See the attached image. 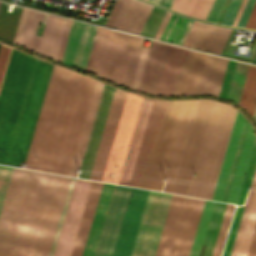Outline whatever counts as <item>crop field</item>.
<instances>
[{
	"label": "crop field",
	"mask_w": 256,
	"mask_h": 256,
	"mask_svg": "<svg viewBox=\"0 0 256 256\" xmlns=\"http://www.w3.org/2000/svg\"><path fill=\"white\" fill-rule=\"evenodd\" d=\"M142 99L141 97L129 93L127 94L106 170L104 169L105 173L102 181L113 182L114 179L107 178L108 172H113L118 173L115 183H119Z\"/></svg>",
	"instance_id": "obj_11"
},
{
	"label": "crop field",
	"mask_w": 256,
	"mask_h": 256,
	"mask_svg": "<svg viewBox=\"0 0 256 256\" xmlns=\"http://www.w3.org/2000/svg\"><path fill=\"white\" fill-rule=\"evenodd\" d=\"M245 2H246V0H243L242 5H241V7H240V9H239V12H238V14H237V16H236V18H235V21H234V23H233L232 26H235V25H236V23H237V21H238V18H239L240 14H241V11H242V9H243V7H244V5H245Z\"/></svg>",
	"instance_id": "obj_58"
},
{
	"label": "crop field",
	"mask_w": 256,
	"mask_h": 256,
	"mask_svg": "<svg viewBox=\"0 0 256 256\" xmlns=\"http://www.w3.org/2000/svg\"><path fill=\"white\" fill-rule=\"evenodd\" d=\"M114 88L104 85V89L101 95L99 106L96 112L92 130L89 136L87 147L84 153V159L81 162L82 168H85L83 175H80L81 178H89V174L92 168V164L95 158L97 147L100 141V137L103 131V127L106 121L108 110L111 104V100L114 94Z\"/></svg>",
	"instance_id": "obj_18"
},
{
	"label": "crop field",
	"mask_w": 256,
	"mask_h": 256,
	"mask_svg": "<svg viewBox=\"0 0 256 256\" xmlns=\"http://www.w3.org/2000/svg\"><path fill=\"white\" fill-rule=\"evenodd\" d=\"M153 101L154 100L152 99H146V98L143 99V103L141 106V110L139 113V117L137 120V124L135 127V131L133 134V138L130 144V148L128 151V155L126 158V162L124 165V169H123L119 184H124V185L129 184V182L127 183V181H130V177H131L133 167L136 161V157L139 151V147L143 138V134L146 128V124L149 118Z\"/></svg>",
	"instance_id": "obj_21"
},
{
	"label": "crop field",
	"mask_w": 256,
	"mask_h": 256,
	"mask_svg": "<svg viewBox=\"0 0 256 256\" xmlns=\"http://www.w3.org/2000/svg\"><path fill=\"white\" fill-rule=\"evenodd\" d=\"M225 205L226 204H223V203H217V202L214 203L211 218L209 221V225H208L206 236L203 243V244H206L203 256H211L215 239L220 226V222L222 219V215L225 209Z\"/></svg>",
	"instance_id": "obj_32"
},
{
	"label": "crop field",
	"mask_w": 256,
	"mask_h": 256,
	"mask_svg": "<svg viewBox=\"0 0 256 256\" xmlns=\"http://www.w3.org/2000/svg\"><path fill=\"white\" fill-rule=\"evenodd\" d=\"M248 126H249V124L247 123V121H245L244 128H243V131H242V134H241V138H240V141H239V144H238V147H237V151H236V154H235V157H234V161H233V164H232V167H231V170H230V174H229V177H228L226 187H225V190H224L223 197H222L221 201H224V202L227 201V197H228V194H229V191H230V187H231L232 180H233V177H234V174H235V170H236L237 163H238V160H239V157H240V153H241V150H242V147H243V143H244L245 136H246V133H247V130H248Z\"/></svg>",
	"instance_id": "obj_40"
},
{
	"label": "crop field",
	"mask_w": 256,
	"mask_h": 256,
	"mask_svg": "<svg viewBox=\"0 0 256 256\" xmlns=\"http://www.w3.org/2000/svg\"><path fill=\"white\" fill-rule=\"evenodd\" d=\"M213 1L214 0H206V2L204 4V7H203V9H202L198 18H201V19H204V20L206 19L208 11H209Z\"/></svg>",
	"instance_id": "obj_54"
},
{
	"label": "crop field",
	"mask_w": 256,
	"mask_h": 256,
	"mask_svg": "<svg viewBox=\"0 0 256 256\" xmlns=\"http://www.w3.org/2000/svg\"><path fill=\"white\" fill-rule=\"evenodd\" d=\"M15 168L0 216V256H33L56 180Z\"/></svg>",
	"instance_id": "obj_4"
},
{
	"label": "crop field",
	"mask_w": 256,
	"mask_h": 256,
	"mask_svg": "<svg viewBox=\"0 0 256 256\" xmlns=\"http://www.w3.org/2000/svg\"><path fill=\"white\" fill-rule=\"evenodd\" d=\"M213 203L214 202H212V201H208V200L205 201V205H204V208L202 211V215H201L198 229H197V232L195 235L193 246H192V249L190 252V256H198V254H199L201 244L203 241V237H204L206 227L208 224V220L210 217V213H211V210L213 207Z\"/></svg>",
	"instance_id": "obj_34"
},
{
	"label": "crop field",
	"mask_w": 256,
	"mask_h": 256,
	"mask_svg": "<svg viewBox=\"0 0 256 256\" xmlns=\"http://www.w3.org/2000/svg\"><path fill=\"white\" fill-rule=\"evenodd\" d=\"M171 2L172 0H163L161 5L169 8L171 5Z\"/></svg>",
	"instance_id": "obj_59"
},
{
	"label": "crop field",
	"mask_w": 256,
	"mask_h": 256,
	"mask_svg": "<svg viewBox=\"0 0 256 256\" xmlns=\"http://www.w3.org/2000/svg\"><path fill=\"white\" fill-rule=\"evenodd\" d=\"M71 21L72 20H70V19L67 20V24H66V27H65V31H64V34H63V38H62L61 45H60V48H59V52H58L57 59H56L59 62L61 61V57H62V54H63V50H64V46H65L66 39H67V36H68Z\"/></svg>",
	"instance_id": "obj_50"
},
{
	"label": "crop field",
	"mask_w": 256,
	"mask_h": 256,
	"mask_svg": "<svg viewBox=\"0 0 256 256\" xmlns=\"http://www.w3.org/2000/svg\"><path fill=\"white\" fill-rule=\"evenodd\" d=\"M148 192L131 189L112 256H130Z\"/></svg>",
	"instance_id": "obj_13"
},
{
	"label": "crop field",
	"mask_w": 256,
	"mask_h": 256,
	"mask_svg": "<svg viewBox=\"0 0 256 256\" xmlns=\"http://www.w3.org/2000/svg\"><path fill=\"white\" fill-rule=\"evenodd\" d=\"M143 39L144 38H142V37H138V36L135 37L132 52L130 55V59L128 62V66H127L125 77H124L123 84H122L123 86L129 87V88L131 87V83H132V79L134 76L137 61L139 58Z\"/></svg>",
	"instance_id": "obj_36"
},
{
	"label": "crop field",
	"mask_w": 256,
	"mask_h": 256,
	"mask_svg": "<svg viewBox=\"0 0 256 256\" xmlns=\"http://www.w3.org/2000/svg\"><path fill=\"white\" fill-rule=\"evenodd\" d=\"M1 3V2H0Z\"/></svg>",
	"instance_id": "obj_64"
},
{
	"label": "crop field",
	"mask_w": 256,
	"mask_h": 256,
	"mask_svg": "<svg viewBox=\"0 0 256 256\" xmlns=\"http://www.w3.org/2000/svg\"><path fill=\"white\" fill-rule=\"evenodd\" d=\"M194 21L172 15L161 39L183 44Z\"/></svg>",
	"instance_id": "obj_30"
},
{
	"label": "crop field",
	"mask_w": 256,
	"mask_h": 256,
	"mask_svg": "<svg viewBox=\"0 0 256 256\" xmlns=\"http://www.w3.org/2000/svg\"><path fill=\"white\" fill-rule=\"evenodd\" d=\"M234 208H235V206L232 205V206H231L230 213H229V216H228V220H227V223H226V227H225V230H224V234H223V237H222V240H221V241H224V240H225V236H226V233H227V230H228L230 221H231V217H232V213H233Z\"/></svg>",
	"instance_id": "obj_56"
},
{
	"label": "crop field",
	"mask_w": 256,
	"mask_h": 256,
	"mask_svg": "<svg viewBox=\"0 0 256 256\" xmlns=\"http://www.w3.org/2000/svg\"><path fill=\"white\" fill-rule=\"evenodd\" d=\"M134 37L101 27L89 71L121 85Z\"/></svg>",
	"instance_id": "obj_7"
},
{
	"label": "crop field",
	"mask_w": 256,
	"mask_h": 256,
	"mask_svg": "<svg viewBox=\"0 0 256 256\" xmlns=\"http://www.w3.org/2000/svg\"><path fill=\"white\" fill-rule=\"evenodd\" d=\"M150 1L155 2V3L158 4L160 0H150Z\"/></svg>",
	"instance_id": "obj_62"
},
{
	"label": "crop field",
	"mask_w": 256,
	"mask_h": 256,
	"mask_svg": "<svg viewBox=\"0 0 256 256\" xmlns=\"http://www.w3.org/2000/svg\"><path fill=\"white\" fill-rule=\"evenodd\" d=\"M101 182H92V186L89 192V196L86 202L84 213L81 219L79 230L76 236V240L73 246L71 256H81L83 248L86 242L88 231L91 225V221L94 215L96 204L99 198V194L102 188Z\"/></svg>",
	"instance_id": "obj_26"
},
{
	"label": "crop field",
	"mask_w": 256,
	"mask_h": 256,
	"mask_svg": "<svg viewBox=\"0 0 256 256\" xmlns=\"http://www.w3.org/2000/svg\"><path fill=\"white\" fill-rule=\"evenodd\" d=\"M11 48L0 45V86L10 57Z\"/></svg>",
	"instance_id": "obj_44"
},
{
	"label": "crop field",
	"mask_w": 256,
	"mask_h": 256,
	"mask_svg": "<svg viewBox=\"0 0 256 256\" xmlns=\"http://www.w3.org/2000/svg\"><path fill=\"white\" fill-rule=\"evenodd\" d=\"M223 243H224V242H221V244H220V247H219V251H218L217 256H220V253H221V250H222Z\"/></svg>",
	"instance_id": "obj_60"
},
{
	"label": "crop field",
	"mask_w": 256,
	"mask_h": 256,
	"mask_svg": "<svg viewBox=\"0 0 256 256\" xmlns=\"http://www.w3.org/2000/svg\"><path fill=\"white\" fill-rule=\"evenodd\" d=\"M255 166H256V142H255L254 149H253V152H252V156H251V159H250V163H249L246 178H245V181H244V185H243L242 193H241V196H240L239 204L237 203L238 206H243L244 199H245V194H246V190H247L246 185H247V182H251L252 176L254 174ZM242 210H243V207L236 208V212H235L233 222H232V225H231V228H230V232H229V235H228V238H227V242H226V245H225L223 256H229V254H230L232 244H233V241H234V237H235V234H236V230H237L239 220H240V217H241Z\"/></svg>",
	"instance_id": "obj_29"
},
{
	"label": "crop field",
	"mask_w": 256,
	"mask_h": 256,
	"mask_svg": "<svg viewBox=\"0 0 256 256\" xmlns=\"http://www.w3.org/2000/svg\"><path fill=\"white\" fill-rule=\"evenodd\" d=\"M238 105L253 117L256 106V66H249Z\"/></svg>",
	"instance_id": "obj_31"
},
{
	"label": "crop field",
	"mask_w": 256,
	"mask_h": 256,
	"mask_svg": "<svg viewBox=\"0 0 256 256\" xmlns=\"http://www.w3.org/2000/svg\"><path fill=\"white\" fill-rule=\"evenodd\" d=\"M96 28L73 20L61 62L85 70Z\"/></svg>",
	"instance_id": "obj_15"
},
{
	"label": "crop field",
	"mask_w": 256,
	"mask_h": 256,
	"mask_svg": "<svg viewBox=\"0 0 256 256\" xmlns=\"http://www.w3.org/2000/svg\"><path fill=\"white\" fill-rule=\"evenodd\" d=\"M254 141H255L254 134L251 127L249 126V130L246 136L244 147L241 153V157L239 160V164L236 170V174L233 180V184H232L227 202H231L235 204L237 203V199L240 193V189H241L244 175L247 169V165H248L251 151L254 145Z\"/></svg>",
	"instance_id": "obj_28"
},
{
	"label": "crop field",
	"mask_w": 256,
	"mask_h": 256,
	"mask_svg": "<svg viewBox=\"0 0 256 256\" xmlns=\"http://www.w3.org/2000/svg\"><path fill=\"white\" fill-rule=\"evenodd\" d=\"M230 206L231 205H229V204L226 205V209H225V212H224V215H223V219H222V222H221V226H220V229H219V233H218V236H217V239H216V243H215V246H214L212 256H216V254H217V250H218L219 243H220V240H221V236H222L224 226H225V223H226V220H227V216H228V213H229V210H230Z\"/></svg>",
	"instance_id": "obj_47"
},
{
	"label": "crop field",
	"mask_w": 256,
	"mask_h": 256,
	"mask_svg": "<svg viewBox=\"0 0 256 256\" xmlns=\"http://www.w3.org/2000/svg\"><path fill=\"white\" fill-rule=\"evenodd\" d=\"M74 179L75 178L71 179V183H70V186H69V189H68V193H67V196H66V199H65V203H64V206H63V209H62V213H61V216H60V219H59V223H58V226H57V229H56V233H55V236H54V239H53V243H52V246H51V249H50L49 256H52V254H53V250H54L55 243H56V240H57V237H58V233H59L60 226H61V223H62V220H63V216H64V213H65V210H66V206H67L68 199H69V196H70V193H71V189H72V186H73V183H74Z\"/></svg>",
	"instance_id": "obj_45"
},
{
	"label": "crop field",
	"mask_w": 256,
	"mask_h": 256,
	"mask_svg": "<svg viewBox=\"0 0 256 256\" xmlns=\"http://www.w3.org/2000/svg\"><path fill=\"white\" fill-rule=\"evenodd\" d=\"M44 17L45 13L23 8L13 43L36 53L41 37L35 33Z\"/></svg>",
	"instance_id": "obj_20"
},
{
	"label": "crop field",
	"mask_w": 256,
	"mask_h": 256,
	"mask_svg": "<svg viewBox=\"0 0 256 256\" xmlns=\"http://www.w3.org/2000/svg\"><path fill=\"white\" fill-rule=\"evenodd\" d=\"M52 66L12 50L0 90V164L26 160Z\"/></svg>",
	"instance_id": "obj_2"
},
{
	"label": "crop field",
	"mask_w": 256,
	"mask_h": 256,
	"mask_svg": "<svg viewBox=\"0 0 256 256\" xmlns=\"http://www.w3.org/2000/svg\"><path fill=\"white\" fill-rule=\"evenodd\" d=\"M255 224H256V191L253 197L251 208L248 214V218L245 224V228L243 231V235H242L236 256H246Z\"/></svg>",
	"instance_id": "obj_33"
},
{
	"label": "crop field",
	"mask_w": 256,
	"mask_h": 256,
	"mask_svg": "<svg viewBox=\"0 0 256 256\" xmlns=\"http://www.w3.org/2000/svg\"><path fill=\"white\" fill-rule=\"evenodd\" d=\"M171 196L149 192L131 256H154Z\"/></svg>",
	"instance_id": "obj_10"
},
{
	"label": "crop field",
	"mask_w": 256,
	"mask_h": 256,
	"mask_svg": "<svg viewBox=\"0 0 256 256\" xmlns=\"http://www.w3.org/2000/svg\"><path fill=\"white\" fill-rule=\"evenodd\" d=\"M204 1L205 0H173L170 8L197 18Z\"/></svg>",
	"instance_id": "obj_37"
},
{
	"label": "crop field",
	"mask_w": 256,
	"mask_h": 256,
	"mask_svg": "<svg viewBox=\"0 0 256 256\" xmlns=\"http://www.w3.org/2000/svg\"><path fill=\"white\" fill-rule=\"evenodd\" d=\"M173 101H154L144 140L129 185L148 187Z\"/></svg>",
	"instance_id": "obj_9"
},
{
	"label": "crop field",
	"mask_w": 256,
	"mask_h": 256,
	"mask_svg": "<svg viewBox=\"0 0 256 256\" xmlns=\"http://www.w3.org/2000/svg\"><path fill=\"white\" fill-rule=\"evenodd\" d=\"M198 100H188V101H174L173 102V106L170 112V116L168 119V123L165 129V133L162 139V143L160 146V150L157 156V160L155 163V167L152 173V177L149 183V187L153 189L154 188V184L157 178V174L159 171V167L161 164V160L164 154V150L166 147V143L168 140V136L171 130V126L173 123V119L175 116V112L178 106V102H179V106L177 109V113L175 116V120L172 126V130L170 133V137L168 140V144L166 147V151L164 154V158L162 161V165L159 171V175L157 178V182L155 185V189L154 190H158L161 191L162 189V185L163 183H161L162 177H167V178H171L169 184H165L164 190L166 192H170L171 188H172V184L175 178V174L178 168V164L181 158V154L184 148V144L187 138V134L190 128V124L193 118V114L196 108V104H197ZM150 189V190H151Z\"/></svg>",
	"instance_id": "obj_6"
},
{
	"label": "crop field",
	"mask_w": 256,
	"mask_h": 256,
	"mask_svg": "<svg viewBox=\"0 0 256 256\" xmlns=\"http://www.w3.org/2000/svg\"><path fill=\"white\" fill-rule=\"evenodd\" d=\"M152 7L147 3L132 0L119 29L139 34Z\"/></svg>",
	"instance_id": "obj_27"
},
{
	"label": "crop field",
	"mask_w": 256,
	"mask_h": 256,
	"mask_svg": "<svg viewBox=\"0 0 256 256\" xmlns=\"http://www.w3.org/2000/svg\"><path fill=\"white\" fill-rule=\"evenodd\" d=\"M130 1L131 0H125V2H124V4H123V6H122V8H121V10H120V12H119V14H118V16H117V18H116L112 27H115V28L118 27V25H119L124 13H125L127 7H128V5H129Z\"/></svg>",
	"instance_id": "obj_52"
},
{
	"label": "crop field",
	"mask_w": 256,
	"mask_h": 256,
	"mask_svg": "<svg viewBox=\"0 0 256 256\" xmlns=\"http://www.w3.org/2000/svg\"><path fill=\"white\" fill-rule=\"evenodd\" d=\"M253 119L255 120V122H256V110H255V113H254V117H253Z\"/></svg>",
	"instance_id": "obj_63"
},
{
	"label": "crop field",
	"mask_w": 256,
	"mask_h": 256,
	"mask_svg": "<svg viewBox=\"0 0 256 256\" xmlns=\"http://www.w3.org/2000/svg\"><path fill=\"white\" fill-rule=\"evenodd\" d=\"M130 189L114 186L95 256H111Z\"/></svg>",
	"instance_id": "obj_14"
},
{
	"label": "crop field",
	"mask_w": 256,
	"mask_h": 256,
	"mask_svg": "<svg viewBox=\"0 0 256 256\" xmlns=\"http://www.w3.org/2000/svg\"><path fill=\"white\" fill-rule=\"evenodd\" d=\"M236 112L225 104L198 101L171 192L211 198Z\"/></svg>",
	"instance_id": "obj_3"
},
{
	"label": "crop field",
	"mask_w": 256,
	"mask_h": 256,
	"mask_svg": "<svg viewBox=\"0 0 256 256\" xmlns=\"http://www.w3.org/2000/svg\"><path fill=\"white\" fill-rule=\"evenodd\" d=\"M123 2H124V0H117L116 1V3L114 5V7H113V9H112L108 19H107V21L105 23V25L110 26V27L112 26V24H113V22H114V20H115V18L117 16L120 8H121Z\"/></svg>",
	"instance_id": "obj_49"
},
{
	"label": "crop field",
	"mask_w": 256,
	"mask_h": 256,
	"mask_svg": "<svg viewBox=\"0 0 256 256\" xmlns=\"http://www.w3.org/2000/svg\"><path fill=\"white\" fill-rule=\"evenodd\" d=\"M70 179L69 177L57 176L35 256H48Z\"/></svg>",
	"instance_id": "obj_17"
},
{
	"label": "crop field",
	"mask_w": 256,
	"mask_h": 256,
	"mask_svg": "<svg viewBox=\"0 0 256 256\" xmlns=\"http://www.w3.org/2000/svg\"><path fill=\"white\" fill-rule=\"evenodd\" d=\"M224 3H225V0H215L206 20L216 22Z\"/></svg>",
	"instance_id": "obj_46"
},
{
	"label": "crop field",
	"mask_w": 256,
	"mask_h": 256,
	"mask_svg": "<svg viewBox=\"0 0 256 256\" xmlns=\"http://www.w3.org/2000/svg\"><path fill=\"white\" fill-rule=\"evenodd\" d=\"M230 30L195 21L184 45L219 54Z\"/></svg>",
	"instance_id": "obj_19"
},
{
	"label": "crop field",
	"mask_w": 256,
	"mask_h": 256,
	"mask_svg": "<svg viewBox=\"0 0 256 256\" xmlns=\"http://www.w3.org/2000/svg\"><path fill=\"white\" fill-rule=\"evenodd\" d=\"M103 85H104L103 83H101L97 80L95 81L93 92H92V95H91V98H90V102H89V105H88V109H87V112H86V116H85V119H84V122H83V126H82V129H81V133H80V136H79V140H78V143H77V146H76V150H75V153H74V157H73L72 164H71L68 175L76 176L75 174H73L74 166L79 167L81 157H83V153H84L86 143H87V140H88V136H89V133H90V130H91V126H92V123H93L95 112H96L98 102H99V99H100V95H101V92H102V89H103Z\"/></svg>",
	"instance_id": "obj_24"
},
{
	"label": "crop field",
	"mask_w": 256,
	"mask_h": 256,
	"mask_svg": "<svg viewBox=\"0 0 256 256\" xmlns=\"http://www.w3.org/2000/svg\"><path fill=\"white\" fill-rule=\"evenodd\" d=\"M247 256H256V227L250 244Z\"/></svg>",
	"instance_id": "obj_55"
},
{
	"label": "crop field",
	"mask_w": 256,
	"mask_h": 256,
	"mask_svg": "<svg viewBox=\"0 0 256 256\" xmlns=\"http://www.w3.org/2000/svg\"><path fill=\"white\" fill-rule=\"evenodd\" d=\"M227 59L190 50L177 96H219Z\"/></svg>",
	"instance_id": "obj_8"
},
{
	"label": "crop field",
	"mask_w": 256,
	"mask_h": 256,
	"mask_svg": "<svg viewBox=\"0 0 256 256\" xmlns=\"http://www.w3.org/2000/svg\"><path fill=\"white\" fill-rule=\"evenodd\" d=\"M252 184H254V186H253V188L249 189V193H248L247 200H246V203H245L244 211H243V214H242V217H241V221H240V224H239V228H238V231H237V234H236V238H235L230 256H235L236 255V251H237V248H238V245H239V241H240V238H241V235H242L244 224H245V221H246V218H247V214H248L250 204H251V201H252V197H253L255 187H256V171H255L254 178L252 180Z\"/></svg>",
	"instance_id": "obj_39"
},
{
	"label": "crop field",
	"mask_w": 256,
	"mask_h": 256,
	"mask_svg": "<svg viewBox=\"0 0 256 256\" xmlns=\"http://www.w3.org/2000/svg\"><path fill=\"white\" fill-rule=\"evenodd\" d=\"M94 81L53 66L26 160L30 169L68 174Z\"/></svg>",
	"instance_id": "obj_1"
},
{
	"label": "crop field",
	"mask_w": 256,
	"mask_h": 256,
	"mask_svg": "<svg viewBox=\"0 0 256 256\" xmlns=\"http://www.w3.org/2000/svg\"><path fill=\"white\" fill-rule=\"evenodd\" d=\"M147 52H148V48L143 47L141 55H140V59H139V62H138V66H137V69H136V73H135V76H134V80H133V83H132V87H131L132 89H134L136 91L138 90L140 78H141V75H142L144 63H145L146 56H147Z\"/></svg>",
	"instance_id": "obj_43"
},
{
	"label": "crop field",
	"mask_w": 256,
	"mask_h": 256,
	"mask_svg": "<svg viewBox=\"0 0 256 256\" xmlns=\"http://www.w3.org/2000/svg\"><path fill=\"white\" fill-rule=\"evenodd\" d=\"M170 16H171V13L166 12V14H165V16H164V18H163V20H162L158 30H157L155 36H154L155 38H158V39L160 38V36H161V34H162V32H163V30H164V28H165L169 18H170Z\"/></svg>",
	"instance_id": "obj_51"
},
{
	"label": "crop field",
	"mask_w": 256,
	"mask_h": 256,
	"mask_svg": "<svg viewBox=\"0 0 256 256\" xmlns=\"http://www.w3.org/2000/svg\"><path fill=\"white\" fill-rule=\"evenodd\" d=\"M66 20L63 17L48 14L38 54L56 59Z\"/></svg>",
	"instance_id": "obj_23"
},
{
	"label": "crop field",
	"mask_w": 256,
	"mask_h": 256,
	"mask_svg": "<svg viewBox=\"0 0 256 256\" xmlns=\"http://www.w3.org/2000/svg\"><path fill=\"white\" fill-rule=\"evenodd\" d=\"M249 64L245 63H236L233 79L231 82L229 94L227 99L233 100L235 103H238V99L241 93V89L244 83V79L247 73Z\"/></svg>",
	"instance_id": "obj_35"
},
{
	"label": "crop field",
	"mask_w": 256,
	"mask_h": 256,
	"mask_svg": "<svg viewBox=\"0 0 256 256\" xmlns=\"http://www.w3.org/2000/svg\"><path fill=\"white\" fill-rule=\"evenodd\" d=\"M253 63H256V49H255V53H254V57H253Z\"/></svg>",
	"instance_id": "obj_61"
},
{
	"label": "crop field",
	"mask_w": 256,
	"mask_h": 256,
	"mask_svg": "<svg viewBox=\"0 0 256 256\" xmlns=\"http://www.w3.org/2000/svg\"><path fill=\"white\" fill-rule=\"evenodd\" d=\"M113 186L114 185L112 184H103V188L100 194V198L97 204L95 215L82 256H94Z\"/></svg>",
	"instance_id": "obj_25"
},
{
	"label": "crop field",
	"mask_w": 256,
	"mask_h": 256,
	"mask_svg": "<svg viewBox=\"0 0 256 256\" xmlns=\"http://www.w3.org/2000/svg\"><path fill=\"white\" fill-rule=\"evenodd\" d=\"M14 168L0 166V212Z\"/></svg>",
	"instance_id": "obj_41"
},
{
	"label": "crop field",
	"mask_w": 256,
	"mask_h": 256,
	"mask_svg": "<svg viewBox=\"0 0 256 256\" xmlns=\"http://www.w3.org/2000/svg\"><path fill=\"white\" fill-rule=\"evenodd\" d=\"M91 182L90 180L75 179L53 256H70Z\"/></svg>",
	"instance_id": "obj_12"
},
{
	"label": "crop field",
	"mask_w": 256,
	"mask_h": 256,
	"mask_svg": "<svg viewBox=\"0 0 256 256\" xmlns=\"http://www.w3.org/2000/svg\"><path fill=\"white\" fill-rule=\"evenodd\" d=\"M245 119L237 112L236 119L233 125V129L230 135V139L226 148V152L223 158V162L219 171V175L216 181V185L213 191V200H221L222 193L225 187V183L229 174V170L232 164V160L236 151V147L240 138V134L243 128Z\"/></svg>",
	"instance_id": "obj_22"
},
{
	"label": "crop field",
	"mask_w": 256,
	"mask_h": 256,
	"mask_svg": "<svg viewBox=\"0 0 256 256\" xmlns=\"http://www.w3.org/2000/svg\"><path fill=\"white\" fill-rule=\"evenodd\" d=\"M188 51L152 40L138 91L176 96Z\"/></svg>",
	"instance_id": "obj_5"
},
{
	"label": "crop field",
	"mask_w": 256,
	"mask_h": 256,
	"mask_svg": "<svg viewBox=\"0 0 256 256\" xmlns=\"http://www.w3.org/2000/svg\"><path fill=\"white\" fill-rule=\"evenodd\" d=\"M245 28L256 29V3Z\"/></svg>",
	"instance_id": "obj_53"
},
{
	"label": "crop field",
	"mask_w": 256,
	"mask_h": 256,
	"mask_svg": "<svg viewBox=\"0 0 256 256\" xmlns=\"http://www.w3.org/2000/svg\"><path fill=\"white\" fill-rule=\"evenodd\" d=\"M127 92L115 90L89 179L102 180Z\"/></svg>",
	"instance_id": "obj_16"
},
{
	"label": "crop field",
	"mask_w": 256,
	"mask_h": 256,
	"mask_svg": "<svg viewBox=\"0 0 256 256\" xmlns=\"http://www.w3.org/2000/svg\"><path fill=\"white\" fill-rule=\"evenodd\" d=\"M255 0H247L243 12L236 26L244 27Z\"/></svg>",
	"instance_id": "obj_48"
},
{
	"label": "crop field",
	"mask_w": 256,
	"mask_h": 256,
	"mask_svg": "<svg viewBox=\"0 0 256 256\" xmlns=\"http://www.w3.org/2000/svg\"><path fill=\"white\" fill-rule=\"evenodd\" d=\"M241 2H242V0H231L230 1L228 8L226 10V13L221 22L222 24H227V25L232 24V22L235 18V15L240 7Z\"/></svg>",
	"instance_id": "obj_42"
},
{
	"label": "crop field",
	"mask_w": 256,
	"mask_h": 256,
	"mask_svg": "<svg viewBox=\"0 0 256 256\" xmlns=\"http://www.w3.org/2000/svg\"><path fill=\"white\" fill-rule=\"evenodd\" d=\"M165 12L154 6L140 34L153 37Z\"/></svg>",
	"instance_id": "obj_38"
},
{
	"label": "crop field",
	"mask_w": 256,
	"mask_h": 256,
	"mask_svg": "<svg viewBox=\"0 0 256 256\" xmlns=\"http://www.w3.org/2000/svg\"><path fill=\"white\" fill-rule=\"evenodd\" d=\"M99 28H100V27L97 28L96 36H95V39H94L93 47H92V50H91L90 58H89L88 65H87V69H86L87 71L89 70V66H90V62H91L92 55H93L95 43H96V40H97Z\"/></svg>",
	"instance_id": "obj_57"
}]
</instances>
